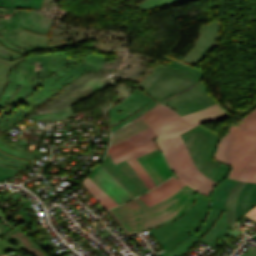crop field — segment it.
Instances as JSON below:
<instances>
[{
  "label": "crop field",
  "mask_w": 256,
  "mask_h": 256,
  "mask_svg": "<svg viewBox=\"0 0 256 256\" xmlns=\"http://www.w3.org/2000/svg\"><path fill=\"white\" fill-rule=\"evenodd\" d=\"M57 0H43L42 12L47 17L57 21V28H53V33L50 42L56 43L58 46L71 45L79 41H86L94 38H99V41L93 45L100 50L108 53L118 50V59L113 62L107 61L101 72L89 73L74 80V86H64L65 93L62 96L51 97L53 103H48L39 111H47L70 106L77 101L84 100L89 96L107 88L112 83L117 85L116 81L120 79H135L142 81L145 77L151 74L154 68L146 69V63L154 62L151 58L140 54H131L128 50L129 36L121 31H112L101 28L84 27L72 24L61 23L60 19L68 12L57 7ZM47 103V101L45 102Z\"/></svg>",
  "instance_id": "1"
},
{
  "label": "crop field",
  "mask_w": 256,
  "mask_h": 256,
  "mask_svg": "<svg viewBox=\"0 0 256 256\" xmlns=\"http://www.w3.org/2000/svg\"><path fill=\"white\" fill-rule=\"evenodd\" d=\"M229 117L231 116L218 103L182 117L168 106L158 104L130 124L114 132L110 147L150 126L158 136L153 140L168 159L175 176L208 196L218 183L208 179L197 169L180 134L198 124Z\"/></svg>",
  "instance_id": "2"
},
{
  "label": "crop field",
  "mask_w": 256,
  "mask_h": 256,
  "mask_svg": "<svg viewBox=\"0 0 256 256\" xmlns=\"http://www.w3.org/2000/svg\"><path fill=\"white\" fill-rule=\"evenodd\" d=\"M107 59L91 54L80 63L61 53L28 57L30 64L36 63L43 70L34 77L31 87H21L15 98L0 112V132L16 125L34 105L38 106L46 101L65 84L85 73L100 71ZM0 149L28 161L36 155L11 145L1 134Z\"/></svg>",
  "instance_id": "3"
},
{
  "label": "crop field",
  "mask_w": 256,
  "mask_h": 256,
  "mask_svg": "<svg viewBox=\"0 0 256 256\" xmlns=\"http://www.w3.org/2000/svg\"><path fill=\"white\" fill-rule=\"evenodd\" d=\"M221 214L220 210H209V197L200 193L183 217L149 231L167 256H179L201 239Z\"/></svg>",
  "instance_id": "4"
},
{
  "label": "crop field",
  "mask_w": 256,
  "mask_h": 256,
  "mask_svg": "<svg viewBox=\"0 0 256 256\" xmlns=\"http://www.w3.org/2000/svg\"><path fill=\"white\" fill-rule=\"evenodd\" d=\"M198 194L186 185L174 195L150 207L135 198L113 209L130 231L137 229L141 233L181 217L194 203Z\"/></svg>",
  "instance_id": "5"
},
{
  "label": "crop field",
  "mask_w": 256,
  "mask_h": 256,
  "mask_svg": "<svg viewBox=\"0 0 256 256\" xmlns=\"http://www.w3.org/2000/svg\"><path fill=\"white\" fill-rule=\"evenodd\" d=\"M256 150V110L243 118L239 127L231 126L219 142L212 158L231 166L228 178L235 179L239 170Z\"/></svg>",
  "instance_id": "6"
},
{
  "label": "crop field",
  "mask_w": 256,
  "mask_h": 256,
  "mask_svg": "<svg viewBox=\"0 0 256 256\" xmlns=\"http://www.w3.org/2000/svg\"><path fill=\"white\" fill-rule=\"evenodd\" d=\"M201 79V76L173 66L161 67L158 65L154 72L138 86L160 102L193 86Z\"/></svg>",
  "instance_id": "7"
},
{
  "label": "crop field",
  "mask_w": 256,
  "mask_h": 256,
  "mask_svg": "<svg viewBox=\"0 0 256 256\" xmlns=\"http://www.w3.org/2000/svg\"><path fill=\"white\" fill-rule=\"evenodd\" d=\"M14 9H0V43L23 55L26 46L47 43V35L35 34L21 28L15 30L12 25Z\"/></svg>",
  "instance_id": "8"
},
{
  "label": "crop field",
  "mask_w": 256,
  "mask_h": 256,
  "mask_svg": "<svg viewBox=\"0 0 256 256\" xmlns=\"http://www.w3.org/2000/svg\"><path fill=\"white\" fill-rule=\"evenodd\" d=\"M162 103L170 106L172 109L173 107L177 108L176 112L182 116L208 107L217 102L209 96L204 84L199 83L190 90L172 97Z\"/></svg>",
  "instance_id": "9"
},
{
  "label": "crop field",
  "mask_w": 256,
  "mask_h": 256,
  "mask_svg": "<svg viewBox=\"0 0 256 256\" xmlns=\"http://www.w3.org/2000/svg\"><path fill=\"white\" fill-rule=\"evenodd\" d=\"M101 165L134 197L149 191L128 162L124 161L115 165L107 155L106 160Z\"/></svg>",
  "instance_id": "10"
},
{
  "label": "crop field",
  "mask_w": 256,
  "mask_h": 256,
  "mask_svg": "<svg viewBox=\"0 0 256 256\" xmlns=\"http://www.w3.org/2000/svg\"><path fill=\"white\" fill-rule=\"evenodd\" d=\"M151 101L153 99L136 88L128 97L111 108L110 127L126 119Z\"/></svg>",
  "instance_id": "11"
},
{
  "label": "crop field",
  "mask_w": 256,
  "mask_h": 256,
  "mask_svg": "<svg viewBox=\"0 0 256 256\" xmlns=\"http://www.w3.org/2000/svg\"><path fill=\"white\" fill-rule=\"evenodd\" d=\"M218 33V21H212L210 24L202 26L199 39L182 61L193 66L197 65L213 46Z\"/></svg>",
  "instance_id": "12"
},
{
  "label": "crop field",
  "mask_w": 256,
  "mask_h": 256,
  "mask_svg": "<svg viewBox=\"0 0 256 256\" xmlns=\"http://www.w3.org/2000/svg\"><path fill=\"white\" fill-rule=\"evenodd\" d=\"M103 190H105L118 204L133 196L125 190L101 165L94 169L90 176ZM105 192V193H106Z\"/></svg>",
  "instance_id": "13"
},
{
  "label": "crop field",
  "mask_w": 256,
  "mask_h": 256,
  "mask_svg": "<svg viewBox=\"0 0 256 256\" xmlns=\"http://www.w3.org/2000/svg\"><path fill=\"white\" fill-rule=\"evenodd\" d=\"M54 22L42 13L33 11L16 10L13 17L15 28H27V30L42 34H47Z\"/></svg>",
  "instance_id": "14"
},
{
  "label": "crop field",
  "mask_w": 256,
  "mask_h": 256,
  "mask_svg": "<svg viewBox=\"0 0 256 256\" xmlns=\"http://www.w3.org/2000/svg\"><path fill=\"white\" fill-rule=\"evenodd\" d=\"M211 133L212 132L198 125L196 128L181 134L195 164L201 155Z\"/></svg>",
  "instance_id": "15"
},
{
  "label": "crop field",
  "mask_w": 256,
  "mask_h": 256,
  "mask_svg": "<svg viewBox=\"0 0 256 256\" xmlns=\"http://www.w3.org/2000/svg\"><path fill=\"white\" fill-rule=\"evenodd\" d=\"M140 164L150 175L156 186L163 182L165 179L174 175L167 159L163 154L145 160Z\"/></svg>",
  "instance_id": "16"
},
{
  "label": "crop field",
  "mask_w": 256,
  "mask_h": 256,
  "mask_svg": "<svg viewBox=\"0 0 256 256\" xmlns=\"http://www.w3.org/2000/svg\"><path fill=\"white\" fill-rule=\"evenodd\" d=\"M172 178V177H171ZM185 186L183 182H181L177 177H173L172 179L164 182L157 188L152 191L141 195L139 198L148 206L156 204L166 197L174 194L180 188Z\"/></svg>",
  "instance_id": "17"
},
{
  "label": "crop field",
  "mask_w": 256,
  "mask_h": 256,
  "mask_svg": "<svg viewBox=\"0 0 256 256\" xmlns=\"http://www.w3.org/2000/svg\"><path fill=\"white\" fill-rule=\"evenodd\" d=\"M0 239H7L8 241L12 242L14 245L18 246L31 256H47L35 243L34 241L29 238L23 230L17 226L9 233L5 234L4 236L0 237ZM30 246L31 248L28 249L27 247Z\"/></svg>",
  "instance_id": "18"
},
{
  "label": "crop field",
  "mask_w": 256,
  "mask_h": 256,
  "mask_svg": "<svg viewBox=\"0 0 256 256\" xmlns=\"http://www.w3.org/2000/svg\"><path fill=\"white\" fill-rule=\"evenodd\" d=\"M156 137L154 131L149 127L138 135L112 147L108 153L113 158L118 157Z\"/></svg>",
  "instance_id": "19"
},
{
  "label": "crop field",
  "mask_w": 256,
  "mask_h": 256,
  "mask_svg": "<svg viewBox=\"0 0 256 256\" xmlns=\"http://www.w3.org/2000/svg\"><path fill=\"white\" fill-rule=\"evenodd\" d=\"M41 70L36 64L30 65L27 61H24L13 67L8 82L30 86L33 77Z\"/></svg>",
  "instance_id": "20"
},
{
  "label": "crop field",
  "mask_w": 256,
  "mask_h": 256,
  "mask_svg": "<svg viewBox=\"0 0 256 256\" xmlns=\"http://www.w3.org/2000/svg\"><path fill=\"white\" fill-rule=\"evenodd\" d=\"M254 206H256V184L247 183L238 196L236 206L237 219Z\"/></svg>",
  "instance_id": "21"
},
{
  "label": "crop field",
  "mask_w": 256,
  "mask_h": 256,
  "mask_svg": "<svg viewBox=\"0 0 256 256\" xmlns=\"http://www.w3.org/2000/svg\"><path fill=\"white\" fill-rule=\"evenodd\" d=\"M83 183H84L86 189L98 199V201L102 204L104 209L112 208V207L118 205L107 193H105L89 177H87Z\"/></svg>",
  "instance_id": "22"
},
{
  "label": "crop field",
  "mask_w": 256,
  "mask_h": 256,
  "mask_svg": "<svg viewBox=\"0 0 256 256\" xmlns=\"http://www.w3.org/2000/svg\"><path fill=\"white\" fill-rule=\"evenodd\" d=\"M236 180L256 183V151L242 167Z\"/></svg>",
  "instance_id": "23"
},
{
  "label": "crop field",
  "mask_w": 256,
  "mask_h": 256,
  "mask_svg": "<svg viewBox=\"0 0 256 256\" xmlns=\"http://www.w3.org/2000/svg\"><path fill=\"white\" fill-rule=\"evenodd\" d=\"M74 114L71 106L62 108L55 111H48L39 114L30 115V117L35 119H43V120H64Z\"/></svg>",
  "instance_id": "24"
},
{
  "label": "crop field",
  "mask_w": 256,
  "mask_h": 256,
  "mask_svg": "<svg viewBox=\"0 0 256 256\" xmlns=\"http://www.w3.org/2000/svg\"><path fill=\"white\" fill-rule=\"evenodd\" d=\"M42 0H0V8L41 9Z\"/></svg>",
  "instance_id": "25"
},
{
  "label": "crop field",
  "mask_w": 256,
  "mask_h": 256,
  "mask_svg": "<svg viewBox=\"0 0 256 256\" xmlns=\"http://www.w3.org/2000/svg\"><path fill=\"white\" fill-rule=\"evenodd\" d=\"M245 184H246L245 182H240L230 191L228 195L226 209H227V214H228L230 224H232L236 220V214H235L236 200L240 190Z\"/></svg>",
  "instance_id": "26"
},
{
  "label": "crop field",
  "mask_w": 256,
  "mask_h": 256,
  "mask_svg": "<svg viewBox=\"0 0 256 256\" xmlns=\"http://www.w3.org/2000/svg\"><path fill=\"white\" fill-rule=\"evenodd\" d=\"M155 149H157V146L155 145V143L152 140V141H150V142H148V143H146V144H144V145H142V146H140V147H138V148H136V149H134V150L118 157V158H116V159H114V162H115V164H117V163L131 157V156H134L135 158H137V157H139L141 155H144V154H146L150 151H153Z\"/></svg>",
  "instance_id": "27"
},
{
  "label": "crop field",
  "mask_w": 256,
  "mask_h": 256,
  "mask_svg": "<svg viewBox=\"0 0 256 256\" xmlns=\"http://www.w3.org/2000/svg\"><path fill=\"white\" fill-rule=\"evenodd\" d=\"M219 138H220V135H217V139H216V141L213 145V148L210 152V155H209L202 171L200 170L205 176H207L210 179H212L214 177V175L217 171L218 165H219V162H217V161H215L214 159L211 158L215 149H216V146L219 142Z\"/></svg>",
  "instance_id": "28"
},
{
  "label": "crop field",
  "mask_w": 256,
  "mask_h": 256,
  "mask_svg": "<svg viewBox=\"0 0 256 256\" xmlns=\"http://www.w3.org/2000/svg\"><path fill=\"white\" fill-rule=\"evenodd\" d=\"M22 60H24V58H20L18 60L10 62V61L0 58V93L2 92V90L4 89V86L6 84L8 71L11 69V67L14 64H16Z\"/></svg>",
  "instance_id": "29"
},
{
  "label": "crop field",
  "mask_w": 256,
  "mask_h": 256,
  "mask_svg": "<svg viewBox=\"0 0 256 256\" xmlns=\"http://www.w3.org/2000/svg\"><path fill=\"white\" fill-rule=\"evenodd\" d=\"M127 161L136 170L140 178L145 182V184L148 186L150 190L155 187V184L153 183L149 175L146 173V171L141 167L139 162L134 157L128 159Z\"/></svg>",
  "instance_id": "30"
},
{
  "label": "crop field",
  "mask_w": 256,
  "mask_h": 256,
  "mask_svg": "<svg viewBox=\"0 0 256 256\" xmlns=\"http://www.w3.org/2000/svg\"><path fill=\"white\" fill-rule=\"evenodd\" d=\"M21 85L8 84L0 98V106L5 107L16 95Z\"/></svg>",
  "instance_id": "31"
},
{
  "label": "crop field",
  "mask_w": 256,
  "mask_h": 256,
  "mask_svg": "<svg viewBox=\"0 0 256 256\" xmlns=\"http://www.w3.org/2000/svg\"><path fill=\"white\" fill-rule=\"evenodd\" d=\"M162 62L166 63V64H169V65H173V66H176L177 68H180V69H183V70H186V71H189V72H192V73H195V74H198V75H201L203 76V71L195 68V67H192L184 62H179L177 60H174L172 58H169L167 56H164L162 59H161Z\"/></svg>",
  "instance_id": "32"
},
{
  "label": "crop field",
  "mask_w": 256,
  "mask_h": 256,
  "mask_svg": "<svg viewBox=\"0 0 256 256\" xmlns=\"http://www.w3.org/2000/svg\"><path fill=\"white\" fill-rule=\"evenodd\" d=\"M178 1H182V0H145L142 4L135 5V7L139 8L141 11H145V10L153 9L156 7L164 6V5L171 4Z\"/></svg>",
  "instance_id": "33"
},
{
  "label": "crop field",
  "mask_w": 256,
  "mask_h": 256,
  "mask_svg": "<svg viewBox=\"0 0 256 256\" xmlns=\"http://www.w3.org/2000/svg\"><path fill=\"white\" fill-rule=\"evenodd\" d=\"M216 135L217 134L212 133V135H211V137H210V139H209V141H208V143H207V145L205 147V150H204L203 154L201 155V157L198 160V163L196 164V166L199 168V170L202 169V167H203V165H204V163H205V161H206V159H207V157L209 155V152H210V150L212 148V145H213V143H214V141L216 139Z\"/></svg>",
  "instance_id": "34"
},
{
  "label": "crop field",
  "mask_w": 256,
  "mask_h": 256,
  "mask_svg": "<svg viewBox=\"0 0 256 256\" xmlns=\"http://www.w3.org/2000/svg\"><path fill=\"white\" fill-rule=\"evenodd\" d=\"M21 170L22 169H17V168L5 166V165H0V182L16 175Z\"/></svg>",
  "instance_id": "35"
},
{
  "label": "crop field",
  "mask_w": 256,
  "mask_h": 256,
  "mask_svg": "<svg viewBox=\"0 0 256 256\" xmlns=\"http://www.w3.org/2000/svg\"><path fill=\"white\" fill-rule=\"evenodd\" d=\"M107 213L115 220V222L119 225V227L125 232L127 236H132L137 233V231L130 232L125 224L121 221V219L117 216L113 209L106 210Z\"/></svg>",
  "instance_id": "36"
},
{
  "label": "crop field",
  "mask_w": 256,
  "mask_h": 256,
  "mask_svg": "<svg viewBox=\"0 0 256 256\" xmlns=\"http://www.w3.org/2000/svg\"><path fill=\"white\" fill-rule=\"evenodd\" d=\"M158 102L155 100L154 102L148 104L147 106H145L144 108H142L140 111L136 112L135 114H133L132 116H130L129 118H127L126 120L120 122L119 124L113 126L111 128V131L113 132L114 130H116L117 128L121 127L122 125H124L125 123H127L128 121H130L131 119L137 117L138 115L142 114L144 111H146L149 107L157 104ZM150 109V108H149Z\"/></svg>",
  "instance_id": "37"
},
{
  "label": "crop field",
  "mask_w": 256,
  "mask_h": 256,
  "mask_svg": "<svg viewBox=\"0 0 256 256\" xmlns=\"http://www.w3.org/2000/svg\"><path fill=\"white\" fill-rule=\"evenodd\" d=\"M229 169H230L229 166L220 164L218 172L212 180L220 183L226 177V175L229 173Z\"/></svg>",
  "instance_id": "38"
},
{
  "label": "crop field",
  "mask_w": 256,
  "mask_h": 256,
  "mask_svg": "<svg viewBox=\"0 0 256 256\" xmlns=\"http://www.w3.org/2000/svg\"><path fill=\"white\" fill-rule=\"evenodd\" d=\"M0 57L13 61L23 56H20L12 51H9L0 45Z\"/></svg>",
  "instance_id": "39"
},
{
  "label": "crop field",
  "mask_w": 256,
  "mask_h": 256,
  "mask_svg": "<svg viewBox=\"0 0 256 256\" xmlns=\"http://www.w3.org/2000/svg\"><path fill=\"white\" fill-rule=\"evenodd\" d=\"M14 248H17L13 244L7 242L6 240H0V255L4 254Z\"/></svg>",
  "instance_id": "40"
},
{
  "label": "crop field",
  "mask_w": 256,
  "mask_h": 256,
  "mask_svg": "<svg viewBox=\"0 0 256 256\" xmlns=\"http://www.w3.org/2000/svg\"><path fill=\"white\" fill-rule=\"evenodd\" d=\"M57 48L56 45H43V46H34V47H27L26 51L24 52V55L33 51H38V50H46V49H54Z\"/></svg>",
  "instance_id": "41"
},
{
  "label": "crop field",
  "mask_w": 256,
  "mask_h": 256,
  "mask_svg": "<svg viewBox=\"0 0 256 256\" xmlns=\"http://www.w3.org/2000/svg\"><path fill=\"white\" fill-rule=\"evenodd\" d=\"M0 156L3 157V158H5V159H8L9 161H14V162H16V163H20V164H29L28 161H25V160H22V159L13 157V156H11V155H8V154L2 152L1 150H0Z\"/></svg>",
  "instance_id": "42"
},
{
  "label": "crop field",
  "mask_w": 256,
  "mask_h": 256,
  "mask_svg": "<svg viewBox=\"0 0 256 256\" xmlns=\"http://www.w3.org/2000/svg\"><path fill=\"white\" fill-rule=\"evenodd\" d=\"M158 154H161V151L159 149H157V150H155L153 152H150V153H148V154H146L144 156H141V157L137 158V160L140 162V161H143L145 159H148V158H151L153 156H156Z\"/></svg>",
  "instance_id": "43"
},
{
  "label": "crop field",
  "mask_w": 256,
  "mask_h": 256,
  "mask_svg": "<svg viewBox=\"0 0 256 256\" xmlns=\"http://www.w3.org/2000/svg\"><path fill=\"white\" fill-rule=\"evenodd\" d=\"M244 216H247L256 221V207L249 210L246 214H244Z\"/></svg>",
  "instance_id": "44"
},
{
  "label": "crop field",
  "mask_w": 256,
  "mask_h": 256,
  "mask_svg": "<svg viewBox=\"0 0 256 256\" xmlns=\"http://www.w3.org/2000/svg\"><path fill=\"white\" fill-rule=\"evenodd\" d=\"M19 213L23 216L27 223H33L31 218L26 214V212L22 208H20Z\"/></svg>",
  "instance_id": "45"
},
{
  "label": "crop field",
  "mask_w": 256,
  "mask_h": 256,
  "mask_svg": "<svg viewBox=\"0 0 256 256\" xmlns=\"http://www.w3.org/2000/svg\"><path fill=\"white\" fill-rule=\"evenodd\" d=\"M0 163L1 164H5V165H9V166H14V167H18V168H24V165H19V164H13V163H9L3 159L0 158Z\"/></svg>",
  "instance_id": "46"
}]
</instances>
